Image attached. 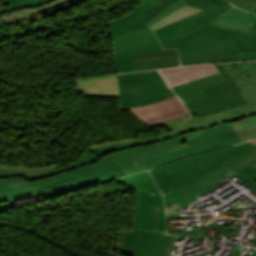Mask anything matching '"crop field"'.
<instances>
[{"label": "crop field", "instance_id": "crop-field-1", "mask_svg": "<svg viewBox=\"0 0 256 256\" xmlns=\"http://www.w3.org/2000/svg\"><path fill=\"white\" fill-rule=\"evenodd\" d=\"M255 161L256 146L246 142L188 156L150 172L160 191L170 193L201 181L226 166L256 190V168L251 165Z\"/></svg>", "mask_w": 256, "mask_h": 256}, {"label": "crop field", "instance_id": "crop-field-2", "mask_svg": "<svg viewBox=\"0 0 256 256\" xmlns=\"http://www.w3.org/2000/svg\"><path fill=\"white\" fill-rule=\"evenodd\" d=\"M200 132V131H199ZM199 132L179 135L165 141L110 153L96 162L67 171L66 173L28 182L23 176L1 179L0 211L15 207V201L38 195V187L116 161L127 175L146 170L142 160L186 147L185 142L200 138Z\"/></svg>", "mask_w": 256, "mask_h": 256}, {"label": "crop field", "instance_id": "crop-field-3", "mask_svg": "<svg viewBox=\"0 0 256 256\" xmlns=\"http://www.w3.org/2000/svg\"><path fill=\"white\" fill-rule=\"evenodd\" d=\"M117 182L135 190L138 202L132 229L165 233L164 202L148 171H144Z\"/></svg>", "mask_w": 256, "mask_h": 256}, {"label": "crop field", "instance_id": "crop-field-4", "mask_svg": "<svg viewBox=\"0 0 256 256\" xmlns=\"http://www.w3.org/2000/svg\"><path fill=\"white\" fill-rule=\"evenodd\" d=\"M163 48H178L182 65L241 61L236 42H213V37L162 38Z\"/></svg>", "mask_w": 256, "mask_h": 256}, {"label": "crop field", "instance_id": "crop-field-5", "mask_svg": "<svg viewBox=\"0 0 256 256\" xmlns=\"http://www.w3.org/2000/svg\"><path fill=\"white\" fill-rule=\"evenodd\" d=\"M199 131L202 138L187 142L189 147L144 160L145 165L148 169H151L164 162L176 160L187 155L241 143L231 123L208 127Z\"/></svg>", "mask_w": 256, "mask_h": 256}, {"label": "crop field", "instance_id": "crop-field-6", "mask_svg": "<svg viewBox=\"0 0 256 256\" xmlns=\"http://www.w3.org/2000/svg\"><path fill=\"white\" fill-rule=\"evenodd\" d=\"M214 65L227 80L202 88L208 98L186 105L194 117L219 112L229 107L247 103L239 93L242 89L233 78H230L222 64Z\"/></svg>", "mask_w": 256, "mask_h": 256}, {"label": "crop field", "instance_id": "crop-field-7", "mask_svg": "<svg viewBox=\"0 0 256 256\" xmlns=\"http://www.w3.org/2000/svg\"><path fill=\"white\" fill-rule=\"evenodd\" d=\"M249 102L247 104L226 109L219 113L187 119L179 128L180 134L196 131L204 127L242 119L244 124L256 121V91L243 95Z\"/></svg>", "mask_w": 256, "mask_h": 256}, {"label": "crop field", "instance_id": "crop-field-8", "mask_svg": "<svg viewBox=\"0 0 256 256\" xmlns=\"http://www.w3.org/2000/svg\"><path fill=\"white\" fill-rule=\"evenodd\" d=\"M176 236L146 231H126L124 252L132 256H168Z\"/></svg>", "mask_w": 256, "mask_h": 256}, {"label": "crop field", "instance_id": "crop-field-9", "mask_svg": "<svg viewBox=\"0 0 256 256\" xmlns=\"http://www.w3.org/2000/svg\"><path fill=\"white\" fill-rule=\"evenodd\" d=\"M71 0H0V20L14 24L22 20L39 18L37 13Z\"/></svg>", "mask_w": 256, "mask_h": 256}, {"label": "crop field", "instance_id": "crop-field-10", "mask_svg": "<svg viewBox=\"0 0 256 256\" xmlns=\"http://www.w3.org/2000/svg\"><path fill=\"white\" fill-rule=\"evenodd\" d=\"M176 0H167L163 4L159 5L155 10L150 12L143 21L147 23L155 14H157L160 10H162L164 7L169 5L170 3L174 2ZM185 2L193 7L202 9L204 11L195 13L193 15L187 16L185 18H182L172 24L165 25L157 30H155V34L157 38L161 37H175L181 30L178 26L185 24L187 22L193 21L195 19H198L200 17H203L205 15L211 14L213 12H216L220 9H223V7L227 3L225 0H185Z\"/></svg>", "mask_w": 256, "mask_h": 256}, {"label": "crop field", "instance_id": "crop-field-11", "mask_svg": "<svg viewBox=\"0 0 256 256\" xmlns=\"http://www.w3.org/2000/svg\"><path fill=\"white\" fill-rule=\"evenodd\" d=\"M122 110H131L134 116L145 124L187 112L177 96L148 106L119 109Z\"/></svg>", "mask_w": 256, "mask_h": 256}, {"label": "crop field", "instance_id": "crop-field-12", "mask_svg": "<svg viewBox=\"0 0 256 256\" xmlns=\"http://www.w3.org/2000/svg\"><path fill=\"white\" fill-rule=\"evenodd\" d=\"M131 56L136 71L180 66L175 49L145 52Z\"/></svg>", "mask_w": 256, "mask_h": 256}, {"label": "crop field", "instance_id": "crop-field-13", "mask_svg": "<svg viewBox=\"0 0 256 256\" xmlns=\"http://www.w3.org/2000/svg\"><path fill=\"white\" fill-rule=\"evenodd\" d=\"M126 176L116 162L69 177L39 188V192L65 186L96 177L99 183L113 180L118 177Z\"/></svg>", "mask_w": 256, "mask_h": 256}, {"label": "crop field", "instance_id": "crop-field-14", "mask_svg": "<svg viewBox=\"0 0 256 256\" xmlns=\"http://www.w3.org/2000/svg\"><path fill=\"white\" fill-rule=\"evenodd\" d=\"M159 72L163 75L170 87L202 78L211 74L218 73V69L213 64L161 69Z\"/></svg>", "mask_w": 256, "mask_h": 256}, {"label": "crop field", "instance_id": "crop-field-15", "mask_svg": "<svg viewBox=\"0 0 256 256\" xmlns=\"http://www.w3.org/2000/svg\"><path fill=\"white\" fill-rule=\"evenodd\" d=\"M80 91L86 96L119 97L116 75L79 80L77 92Z\"/></svg>", "mask_w": 256, "mask_h": 256}, {"label": "crop field", "instance_id": "crop-field-16", "mask_svg": "<svg viewBox=\"0 0 256 256\" xmlns=\"http://www.w3.org/2000/svg\"><path fill=\"white\" fill-rule=\"evenodd\" d=\"M223 66L243 89L241 95L256 90V61L223 63Z\"/></svg>", "mask_w": 256, "mask_h": 256}, {"label": "crop field", "instance_id": "crop-field-17", "mask_svg": "<svg viewBox=\"0 0 256 256\" xmlns=\"http://www.w3.org/2000/svg\"><path fill=\"white\" fill-rule=\"evenodd\" d=\"M224 79L225 78L220 73H218L189 83L172 87V89L175 91L180 100L184 104H187L196 100L206 98L205 94L200 88Z\"/></svg>", "mask_w": 256, "mask_h": 256}, {"label": "crop field", "instance_id": "crop-field-18", "mask_svg": "<svg viewBox=\"0 0 256 256\" xmlns=\"http://www.w3.org/2000/svg\"><path fill=\"white\" fill-rule=\"evenodd\" d=\"M256 22V14L231 8L220 14L215 25L248 33Z\"/></svg>", "mask_w": 256, "mask_h": 256}, {"label": "crop field", "instance_id": "crop-field-19", "mask_svg": "<svg viewBox=\"0 0 256 256\" xmlns=\"http://www.w3.org/2000/svg\"><path fill=\"white\" fill-rule=\"evenodd\" d=\"M114 52L129 49L135 46L156 42L152 31L146 27L114 36Z\"/></svg>", "mask_w": 256, "mask_h": 256}, {"label": "crop field", "instance_id": "crop-field-20", "mask_svg": "<svg viewBox=\"0 0 256 256\" xmlns=\"http://www.w3.org/2000/svg\"><path fill=\"white\" fill-rule=\"evenodd\" d=\"M229 171H231L228 168H223L220 171H218L217 173L213 174L212 176H210L209 178L196 183L194 185H191L187 188H184L182 190L167 194L164 196L165 199V203L169 204V203H175V202H180L182 200L188 199L190 197L193 196H197L201 193H203V191H201L199 188L211 183L212 181L220 178L221 176L225 175L226 173H228Z\"/></svg>", "mask_w": 256, "mask_h": 256}, {"label": "crop field", "instance_id": "crop-field-21", "mask_svg": "<svg viewBox=\"0 0 256 256\" xmlns=\"http://www.w3.org/2000/svg\"><path fill=\"white\" fill-rule=\"evenodd\" d=\"M160 1H162V0H143L142 2H140L138 4V6L134 9V11L131 14L121 17V18H118V19H115L113 21H110L109 22L110 29L141 19L140 17L144 13H146L148 10H150L152 7H154Z\"/></svg>", "mask_w": 256, "mask_h": 256}, {"label": "crop field", "instance_id": "crop-field-22", "mask_svg": "<svg viewBox=\"0 0 256 256\" xmlns=\"http://www.w3.org/2000/svg\"><path fill=\"white\" fill-rule=\"evenodd\" d=\"M161 75L157 70L154 71H142L130 74L117 75L119 87L121 86H133L141 84L150 79L160 77Z\"/></svg>", "mask_w": 256, "mask_h": 256}, {"label": "crop field", "instance_id": "crop-field-23", "mask_svg": "<svg viewBox=\"0 0 256 256\" xmlns=\"http://www.w3.org/2000/svg\"><path fill=\"white\" fill-rule=\"evenodd\" d=\"M225 7H227V8H225V9H223V10H221V11H218V12H216V13H213V14H211V15L205 16V17H203V18H200V19H198V20H195V21H193V22H190V23H187V24H185V25L180 26V27L183 28L184 30H183L182 32H180L176 37H183V36H185L186 34H188V33H190V32H194V31L203 29V28H205V27L214 25V23H215V21H216L218 15H219L221 12H223V11H225V10L231 8L232 5L229 4V5L225 6Z\"/></svg>", "mask_w": 256, "mask_h": 256}, {"label": "crop field", "instance_id": "crop-field-24", "mask_svg": "<svg viewBox=\"0 0 256 256\" xmlns=\"http://www.w3.org/2000/svg\"><path fill=\"white\" fill-rule=\"evenodd\" d=\"M220 35H238L243 37H249L256 39V31L250 29L249 33H242L234 30L224 29L222 27L212 26L206 29L191 33L185 37H194V36H220Z\"/></svg>", "mask_w": 256, "mask_h": 256}, {"label": "crop field", "instance_id": "crop-field-25", "mask_svg": "<svg viewBox=\"0 0 256 256\" xmlns=\"http://www.w3.org/2000/svg\"><path fill=\"white\" fill-rule=\"evenodd\" d=\"M98 157L93 155L92 153H90L89 151H86L84 152L79 158L78 160L67 166V167H62L60 169H57L55 171H52V172H49L47 174H44V175H41V176H33V177H28V176H24L28 181L30 180H34V179H38V178H43V177H47V176H50V175H54V174H58V173H62V172H65L67 170H70V169H73L75 167H78V166H81V165H84V164H89V163H92L94 162L95 160H97Z\"/></svg>", "mask_w": 256, "mask_h": 256}, {"label": "crop field", "instance_id": "crop-field-26", "mask_svg": "<svg viewBox=\"0 0 256 256\" xmlns=\"http://www.w3.org/2000/svg\"><path fill=\"white\" fill-rule=\"evenodd\" d=\"M162 49L159 42L114 53L115 57L123 56L127 72L135 71L130 54Z\"/></svg>", "mask_w": 256, "mask_h": 256}, {"label": "crop field", "instance_id": "crop-field-27", "mask_svg": "<svg viewBox=\"0 0 256 256\" xmlns=\"http://www.w3.org/2000/svg\"><path fill=\"white\" fill-rule=\"evenodd\" d=\"M234 129L237 132V135L241 142L252 139L256 137V122L248 124L246 126L243 125L242 121H233L231 122Z\"/></svg>", "mask_w": 256, "mask_h": 256}, {"label": "crop field", "instance_id": "crop-field-28", "mask_svg": "<svg viewBox=\"0 0 256 256\" xmlns=\"http://www.w3.org/2000/svg\"><path fill=\"white\" fill-rule=\"evenodd\" d=\"M256 30V24L252 27ZM214 41H238L240 51H256V40L237 36L214 37Z\"/></svg>", "mask_w": 256, "mask_h": 256}, {"label": "crop field", "instance_id": "crop-field-29", "mask_svg": "<svg viewBox=\"0 0 256 256\" xmlns=\"http://www.w3.org/2000/svg\"><path fill=\"white\" fill-rule=\"evenodd\" d=\"M171 91V88L165 84L163 86H160L158 88L146 91V92H142V93H138V94H132V95H124V96H120V101H124V102H128V101H137V100H141V99H146V98H150L165 92Z\"/></svg>", "mask_w": 256, "mask_h": 256}, {"label": "crop field", "instance_id": "crop-field-30", "mask_svg": "<svg viewBox=\"0 0 256 256\" xmlns=\"http://www.w3.org/2000/svg\"><path fill=\"white\" fill-rule=\"evenodd\" d=\"M199 11H202V10H199V9H196V8H193V7H190V6H185L184 8L180 9L179 11L171 14L170 16L162 19L161 21H159L157 24H153L154 26L150 27L152 28L153 30L162 26V25H165V24H168V23H172L182 17H185L187 15H190L192 13H195V12H199ZM193 15V14H192Z\"/></svg>", "mask_w": 256, "mask_h": 256}, {"label": "crop field", "instance_id": "crop-field-31", "mask_svg": "<svg viewBox=\"0 0 256 256\" xmlns=\"http://www.w3.org/2000/svg\"><path fill=\"white\" fill-rule=\"evenodd\" d=\"M59 167L60 166H55V165H51L44 168H24V167L10 166L7 172H14V173H20V174L32 176V175L44 174L46 172L57 169Z\"/></svg>", "mask_w": 256, "mask_h": 256}, {"label": "crop field", "instance_id": "crop-field-32", "mask_svg": "<svg viewBox=\"0 0 256 256\" xmlns=\"http://www.w3.org/2000/svg\"><path fill=\"white\" fill-rule=\"evenodd\" d=\"M186 4L184 2V0H178L174 3H172L171 5L167 6L166 8H164L162 11H160L157 15H155L148 23L147 25L150 27L153 24L157 23L159 20H161L162 18L166 17L167 15L175 12L176 10L184 7Z\"/></svg>", "mask_w": 256, "mask_h": 256}, {"label": "crop field", "instance_id": "crop-field-33", "mask_svg": "<svg viewBox=\"0 0 256 256\" xmlns=\"http://www.w3.org/2000/svg\"><path fill=\"white\" fill-rule=\"evenodd\" d=\"M97 183H98V181L96 180V178H94V179H90V180L83 181V182H80V183L72 184V185H69V186H65V187L54 189V190L42 192L39 195L43 196L44 198H48V197H51L53 195H56V194H59V193H62V192H66V191H69V190H72V189H75V188H79V187H83V186H87V185H91V184H97Z\"/></svg>", "mask_w": 256, "mask_h": 256}, {"label": "crop field", "instance_id": "crop-field-34", "mask_svg": "<svg viewBox=\"0 0 256 256\" xmlns=\"http://www.w3.org/2000/svg\"><path fill=\"white\" fill-rule=\"evenodd\" d=\"M175 96V94L173 93V91L150 98V99H146V100H142V101H137V102H129V103H123L120 102L119 103V108H123V107H136V106H140V105H148V104H152V103H156L159 102L163 99L169 98Z\"/></svg>", "mask_w": 256, "mask_h": 256}, {"label": "crop field", "instance_id": "crop-field-35", "mask_svg": "<svg viewBox=\"0 0 256 256\" xmlns=\"http://www.w3.org/2000/svg\"><path fill=\"white\" fill-rule=\"evenodd\" d=\"M182 121H178V122H175V123H170V124H166V125H162L164 126L165 128L171 130L172 132H169V133H165V134H162L160 136H157V137H153V138H149V139H144L142 140L145 144H149V143H153V142H157V141H161V140H165L167 138H170V137H173V136H177L179 135L177 133V131L175 130L182 122Z\"/></svg>", "mask_w": 256, "mask_h": 256}, {"label": "crop field", "instance_id": "crop-field-36", "mask_svg": "<svg viewBox=\"0 0 256 256\" xmlns=\"http://www.w3.org/2000/svg\"><path fill=\"white\" fill-rule=\"evenodd\" d=\"M204 229L205 227H193L192 232L168 229V233L184 237H208V234L202 233Z\"/></svg>", "mask_w": 256, "mask_h": 256}, {"label": "crop field", "instance_id": "crop-field-37", "mask_svg": "<svg viewBox=\"0 0 256 256\" xmlns=\"http://www.w3.org/2000/svg\"><path fill=\"white\" fill-rule=\"evenodd\" d=\"M116 150H117V148L113 142L104 144V145H99V146L89 149L90 152L94 153L95 155H97L99 157L104 156V155H106L110 152L116 151Z\"/></svg>", "mask_w": 256, "mask_h": 256}, {"label": "crop field", "instance_id": "crop-field-38", "mask_svg": "<svg viewBox=\"0 0 256 256\" xmlns=\"http://www.w3.org/2000/svg\"><path fill=\"white\" fill-rule=\"evenodd\" d=\"M147 26L142 20L130 23L128 25H124V26H120L114 29H111L113 35H117L129 30H133V29H137V28H141V27H145Z\"/></svg>", "mask_w": 256, "mask_h": 256}, {"label": "crop field", "instance_id": "crop-field-39", "mask_svg": "<svg viewBox=\"0 0 256 256\" xmlns=\"http://www.w3.org/2000/svg\"><path fill=\"white\" fill-rule=\"evenodd\" d=\"M228 1H230L235 6L248 11L254 12L256 8V0H228Z\"/></svg>", "mask_w": 256, "mask_h": 256}, {"label": "crop field", "instance_id": "crop-field-40", "mask_svg": "<svg viewBox=\"0 0 256 256\" xmlns=\"http://www.w3.org/2000/svg\"><path fill=\"white\" fill-rule=\"evenodd\" d=\"M114 143L116 144L119 150L144 145V143L141 140H128Z\"/></svg>", "mask_w": 256, "mask_h": 256}, {"label": "crop field", "instance_id": "crop-field-41", "mask_svg": "<svg viewBox=\"0 0 256 256\" xmlns=\"http://www.w3.org/2000/svg\"><path fill=\"white\" fill-rule=\"evenodd\" d=\"M188 117H190V113H189V112L186 113V114H183V115H179V116L170 118V119H166V120H162V121L150 123V124H148V125H149L150 127H154V126H158V125H161V124H166V123L178 121V120H181V119H185V118H188Z\"/></svg>", "mask_w": 256, "mask_h": 256}, {"label": "crop field", "instance_id": "crop-field-42", "mask_svg": "<svg viewBox=\"0 0 256 256\" xmlns=\"http://www.w3.org/2000/svg\"><path fill=\"white\" fill-rule=\"evenodd\" d=\"M166 82L164 80L154 84V85H151L149 87H146V88H142V89H136V90H131V91H124V92H120V95H123V94H131V93H138V92H142V91H146V90H149V89H152V88H155V87H158L160 85H163L165 84Z\"/></svg>", "mask_w": 256, "mask_h": 256}, {"label": "crop field", "instance_id": "crop-field-43", "mask_svg": "<svg viewBox=\"0 0 256 256\" xmlns=\"http://www.w3.org/2000/svg\"><path fill=\"white\" fill-rule=\"evenodd\" d=\"M162 80V77L160 78H157V79H153V80H150L148 82H145L141 85H137V86H133V87H122V88H119V91H123V90H131V89H136V88H141V87H146L148 85H151V84H154L158 81Z\"/></svg>", "mask_w": 256, "mask_h": 256}, {"label": "crop field", "instance_id": "crop-field-44", "mask_svg": "<svg viewBox=\"0 0 256 256\" xmlns=\"http://www.w3.org/2000/svg\"><path fill=\"white\" fill-rule=\"evenodd\" d=\"M117 70L119 73H125V65L122 57L114 58Z\"/></svg>", "mask_w": 256, "mask_h": 256}, {"label": "crop field", "instance_id": "crop-field-45", "mask_svg": "<svg viewBox=\"0 0 256 256\" xmlns=\"http://www.w3.org/2000/svg\"><path fill=\"white\" fill-rule=\"evenodd\" d=\"M9 166H3L0 165V177L6 178V177H14L19 176L20 174H14V173H5Z\"/></svg>", "mask_w": 256, "mask_h": 256}, {"label": "crop field", "instance_id": "crop-field-46", "mask_svg": "<svg viewBox=\"0 0 256 256\" xmlns=\"http://www.w3.org/2000/svg\"><path fill=\"white\" fill-rule=\"evenodd\" d=\"M243 60L256 59V52H240Z\"/></svg>", "mask_w": 256, "mask_h": 256}, {"label": "crop field", "instance_id": "crop-field-47", "mask_svg": "<svg viewBox=\"0 0 256 256\" xmlns=\"http://www.w3.org/2000/svg\"><path fill=\"white\" fill-rule=\"evenodd\" d=\"M251 142L255 143L256 144V139L255 140H251Z\"/></svg>", "mask_w": 256, "mask_h": 256}, {"label": "crop field", "instance_id": "crop-field-48", "mask_svg": "<svg viewBox=\"0 0 256 256\" xmlns=\"http://www.w3.org/2000/svg\"><path fill=\"white\" fill-rule=\"evenodd\" d=\"M255 13H256V10H255Z\"/></svg>", "mask_w": 256, "mask_h": 256}, {"label": "crop field", "instance_id": "crop-field-49", "mask_svg": "<svg viewBox=\"0 0 256 256\" xmlns=\"http://www.w3.org/2000/svg\"><path fill=\"white\" fill-rule=\"evenodd\" d=\"M84 1H86V0H84Z\"/></svg>", "mask_w": 256, "mask_h": 256}, {"label": "crop field", "instance_id": "crop-field-50", "mask_svg": "<svg viewBox=\"0 0 256 256\" xmlns=\"http://www.w3.org/2000/svg\"><path fill=\"white\" fill-rule=\"evenodd\" d=\"M1 182V181H0Z\"/></svg>", "mask_w": 256, "mask_h": 256}]
</instances>
